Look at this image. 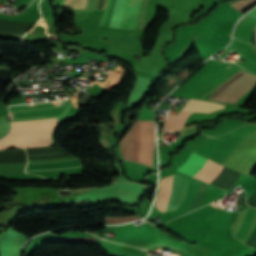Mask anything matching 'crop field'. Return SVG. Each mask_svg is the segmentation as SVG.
<instances>
[{"instance_id": "obj_12", "label": "crop field", "mask_w": 256, "mask_h": 256, "mask_svg": "<svg viewBox=\"0 0 256 256\" xmlns=\"http://www.w3.org/2000/svg\"><path fill=\"white\" fill-rule=\"evenodd\" d=\"M255 2H256V0L237 1L231 5L234 6L236 9H238L241 12L244 9H246L247 7L254 4Z\"/></svg>"}, {"instance_id": "obj_1", "label": "crop field", "mask_w": 256, "mask_h": 256, "mask_svg": "<svg viewBox=\"0 0 256 256\" xmlns=\"http://www.w3.org/2000/svg\"><path fill=\"white\" fill-rule=\"evenodd\" d=\"M57 119L12 123L11 132L0 140V149L53 145Z\"/></svg>"}, {"instance_id": "obj_15", "label": "crop field", "mask_w": 256, "mask_h": 256, "mask_svg": "<svg viewBox=\"0 0 256 256\" xmlns=\"http://www.w3.org/2000/svg\"><path fill=\"white\" fill-rule=\"evenodd\" d=\"M231 66V65H230Z\"/></svg>"}, {"instance_id": "obj_2", "label": "crop field", "mask_w": 256, "mask_h": 256, "mask_svg": "<svg viewBox=\"0 0 256 256\" xmlns=\"http://www.w3.org/2000/svg\"><path fill=\"white\" fill-rule=\"evenodd\" d=\"M136 1L137 0H127L126 2V0H116L115 2V0H108L105 12L103 14V17L99 25H106V26L109 25L111 13H112L114 2H115V6H114V10L112 13L109 26L119 28L121 24L122 16H123L125 2H126L124 16H123V20L120 28L129 29L133 12L135 9ZM147 3H148V0L137 1V5H136V9H135V13L133 16L130 29L141 28L142 22L146 13Z\"/></svg>"}, {"instance_id": "obj_7", "label": "crop field", "mask_w": 256, "mask_h": 256, "mask_svg": "<svg viewBox=\"0 0 256 256\" xmlns=\"http://www.w3.org/2000/svg\"><path fill=\"white\" fill-rule=\"evenodd\" d=\"M224 139L212 138L205 136L203 140L193 149V151L209 157L212 153H214Z\"/></svg>"}, {"instance_id": "obj_11", "label": "crop field", "mask_w": 256, "mask_h": 256, "mask_svg": "<svg viewBox=\"0 0 256 256\" xmlns=\"http://www.w3.org/2000/svg\"><path fill=\"white\" fill-rule=\"evenodd\" d=\"M86 0H76L74 9H84ZM106 0H97L96 7L97 9H103Z\"/></svg>"}, {"instance_id": "obj_6", "label": "crop field", "mask_w": 256, "mask_h": 256, "mask_svg": "<svg viewBox=\"0 0 256 256\" xmlns=\"http://www.w3.org/2000/svg\"><path fill=\"white\" fill-rule=\"evenodd\" d=\"M141 163L154 166L155 136L153 121H139Z\"/></svg>"}, {"instance_id": "obj_4", "label": "crop field", "mask_w": 256, "mask_h": 256, "mask_svg": "<svg viewBox=\"0 0 256 256\" xmlns=\"http://www.w3.org/2000/svg\"><path fill=\"white\" fill-rule=\"evenodd\" d=\"M222 108H224V105L209 101L189 99L181 111L212 113ZM190 114L192 113L180 112L178 116L169 114L163 131H179L184 127V124Z\"/></svg>"}, {"instance_id": "obj_8", "label": "crop field", "mask_w": 256, "mask_h": 256, "mask_svg": "<svg viewBox=\"0 0 256 256\" xmlns=\"http://www.w3.org/2000/svg\"><path fill=\"white\" fill-rule=\"evenodd\" d=\"M256 228V208H251L250 214L247 218L244 228L241 230L240 234L236 236L243 243L252 234Z\"/></svg>"}, {"instance_id": "obj_9", "label": "crop field", "mask_w": 256, "mask_h": 256, "mask_svg": "<svg viewBox=\"0 0 256 256\" xmlns=\"http://www.w3.org/2000/svg\"><path fill=\"white\" fill-rule=\"evenodd\" d=\"M25 163L0 164V175H14L24 172Z\"/></svg>"}, {"instance_id": "obj_3", "label": "crop field", "mask_w": 256, "mask_h": 256, "mask_svg": "<svg viewBox=\"0 0 256 256\" xmlns=\"http://www.w3.org/2000/svg\"><path fill=\"white\" fill-rule=\"evenodd\" d=\"M171 179L172 176H169L161 179L160 181V190L155 205L159 211L165 212L167 201L171 191ZM187 183L188 178H186L185 176L173 175L172 191L166 211L176 209L177 206L182 202L187 192Z\"/></svg>"}, {"instance_id": "obj_5", "label": "crop field", "mask_w": 256, "mask_h": 256, "mask_svg": "<svg viewBox=\"0 0 256 256\" xmlns=\"http://www.w3.org/2000/svg\"><path fill=\"white\" fill-rule=\"evenodd\" d=\"M206 159L207 158L192 152L188 160L182 166H180L177 171L192 176L203 167ZM221 169L222 166L207 159L204 167L197 174H195L194 177L210 183L219 175Z\"/></svg>"}, {"instance_id": "obj_13", "label": "crop field", "mask_w": 256, "mask_h": 256, "mask_svg": "<svg viewBox=\"0 0 256 256\" xmlns=\"http://www.w3.org/2000/svg\"><path fill=\"white\" fill-rule=\"evenodd\" d=\"M140 219L137 216H132V217H121V218H105L106 223H121V222H127V221H132Z\"/></svg>"}, {"instance_id": "obj_10", "label": "crop field", "mask_w": 256, "mask_h": 256, "mask_svg": "<svg viewBox=\"0 0 256 256\" xmlns=\"http://www.w3.org/2000/svg\"><path fill=\"white\" fill-rule=\"evenodd\" d=\"M206 187H207L206 185L199 183L198 190L196 192V197L190 204L189 208H187L185 213L197 208L200 205V203L202 202Z\"/></svg>"}, {"instance_id": "obj_14", "label": "crop field", "mask_w": 256, "mask_h": 256, "mask_svg": "<svg viewBox=\"0 0 256 256\" xmlns=\"http://www.w3.org/2000/svg\"><path fill=\"white\" fill-rule=\"evenodd\" d=\"M110 253H111V254H114V255L134 256V255H127V254L113 253V252H110ZM114 255H111V256H114Z\"/></svg>"}]
</instances>
